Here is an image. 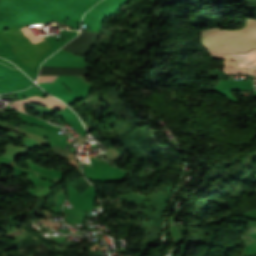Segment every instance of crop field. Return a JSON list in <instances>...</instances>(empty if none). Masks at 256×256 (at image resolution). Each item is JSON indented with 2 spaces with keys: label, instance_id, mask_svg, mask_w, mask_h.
<instances>
[{
  "label": "crop field",
  "instance_id": "412701ff",
  "mask_svg": "<svg viewBox=\"0 0 256 256\" xmlns=\"http://www.w3.org/2000/svg\"><path fill=\"white\" fill-rule=\"evenodd\" d=\"M29 102L31 103H35V104H38V105H42V106H46V107H50V108H55V109H58V110H61L65 107H67L66 105H64L62 102L50 97V96H47L45 98H42V97H38V96H34V97H30L26 100H22V101H14L12 103H10L9 105L22 111V112H25L24 110V105L28 104Z\"/></svg>",
  "mask_w": 256,
  "mask_h": 256
},
{
  "label": "crop field",
  "instance_id": "8a807250",
  "mask_svg": "<svg viewBox=\"0 0 256 256\" xmlns=\"http://www.w3.org/2000/svg\"><path fill=\"white\" fill-rule=\"evenodd\" d=\"M203 42L213 57L229 59L256 75V21L249 20L241 30L203 31Z\"/></svg>",
  "mask_w": 256,
  "mask_h": 256
},
{
  "label": "crop field",
  "instance_id": "f4fd0767",
  "mask_svg": "<svg viewBox=\"0 0 256 256\" xmlns=\"http://www.w3.org/2000/svg\"><path fill=\"white\" fill-rule=\"evenodd\" d=\"M51 57L53 58H65V59H79V60H85L86 58L84 57H80V56H76V55H71V54H66V53H62L60 51L56 52L54 55H52Z\"/></svg>",
  "mask_w": 256,
  "mask_h": 256
},
{
  "label": "crop field",
  "instance_id": "ac0d7876",
  "mask_svg": "<svg viewBox=\"0 0 256 256\" xmlns=\"http://www.w3.org/2000/svg\"><path fill=\"white\" fill-rule=\"evenodd\" d=\"M0 36L12 45L14 54L32 69L51 47L44 38L35 40L27 28L8 30Z\"/></svg>",
  "mask_w": 256,
  "mask_h": 256
},
{
  "label": "crop field",
  "instance_id": "dd49c442",
  "mask_svg": "<svg viewBox=\"0 0 256 256\" xmlns=\"http://www.w3.org/2000/svg\"><path fill=\"white\" fill-rule=\"evenodd\" d=\"M225 64H226L227 69L231 73H244V70L240 66H238V65H236L234 63L225 61Z\"/></svg>",
  "mask_w": 256,
  "mask_h": 256
},
{
  "label": "crop field",
  "instance_id": "34b2d1b8",
  "mask_svg": "<svg viewBox=\"0 0 256 256\" xmlns=\"http://www.w3.org/2000/svg\"><path fill=\"white\" fill-rule=\"evenodd\" d=\"M127 0H102L90 11L86 12L82 22L89 25L91 30H101L105 17L117 15Z\"/></svg>",
  "mask_w": 256,
  "mask_h": 256
},
{
  "label": "crop field",
  "instance_id": "e52e79f7",
  "mask_svg": "<svg viewBox=\"0 0 256 256\" xmlns=\"http://www.w3.org/2000/svg\"><path fill=\"white\" fill-rule=\"evenodd\" d=\"M57 76H39L37 83L40 82H53Z\"/></svg>",
  "mask_w": 256,
  "mask_h": 256
}]
</instances>
